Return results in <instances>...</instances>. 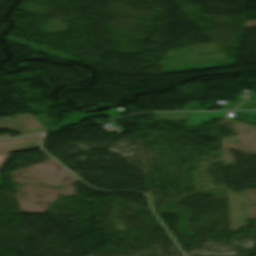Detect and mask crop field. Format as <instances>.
I'll use <instances>...</instances> for the list:
<instances>
[{
  "label": "crop field",
  "mask_w": 256,
  "mask_h": 256,
  "mask_svg": "<svg viewBox=\"0 0 256 256\" xmlns=\"http://www.w3.org/2000/svg\"><path fill=\"white\" fill-rule=\"evenodd\" d=\"M0 128H6L8 131H29L41 129L43 126L33 117L32 114L17 115L12 118H0Z\"/></svg>",
  "instance_id": "8a807250"
},
{
  "label": "crop field",
  "mask_w": 256,
  "mask_h": 256,
  "mask_svg": "<svg viewBox=\"0 0 256 256\" xmlns=\"http://www.w3.org/2000/svg\"><path fill=\"white\" fill-rule=\"evenodd\" d=\"M39 136L23 138V139H11L0 141V168L10 151L34 148L39 143Z\"/></svg>",
  "instance_id": "ac0d7876"
},
{
  "label": "crop field",
  "mask_w": 256,
  "mask_h": 256,
  "mask_svg": "<svg viewBox=\"0 0 256 256\" xmlns=\"http://www.w3.org/2000/svg\"><path fill=\"white\" fill-rule=\"evenodd\" d=\"M227 112H204L191 113L185 126L202 125L203 121H210L211 118H224Z\"/></svg>",
  "instance_id": "34b2d1b8"
},
{
  "label": "crop field",
  "mask_w": 256,
  "mask_h": 256,
  "mask_svg": "<svg viewBox=\"0 0 256 256\" xmlns=\"http://www.w3.org/2000/svg\"><path fill=\"white\" fill-rule=\"evenodd\" d=\"M229 117L256 126V112H231Z\"/></svg>",
  "instance_id": "412701ff"
},
{
  "label": "crop field",
  "mask_w": 256,
  "mask_h": 256,
  "mask_svg": "<svg viewBox=\"0 0 256 256\" xmlns=\"http://www.w3.org/2000/svg\"><path fill=\"white\" fill-rule=\"evenodd\" d=\"M103 113H105L108 116V118L119 116L118 112L114 108L105 110V111H103Z\"/></svg>",
  "instance_id": "f4fd0767"
},
{
  "label": "crop field",
  "mask_w": 256,
  "mask_h": 256,
  "mask_svg": "<svg viewBox=\"0 0 256 256\" xmlns=\"http://www.w3.org/2000/svg\"><path fill=\"white\" fill-rule=\"evenodd\" d=\"M42 132H46V131H45V130H41V131H34V132H29V133L21 134L20 136H24V135H31V134L42 133Z\"/></svg>",
  "instance_id": "dd49c442"
},
{
  "label": "crop field",
  "mask_w": 256,
  "mask_h": 256,
  "mask_svg": "<svg viewBox=\"0 0 256 256\" xmlns=\"http://www.w3.org/2000/svg\"><path fill=\"white\" fill-rule=\"evenodd\" d=\"M2 185L1 175H0V186Z\"/></svg>",
  "instance_id": "e52e79f7"
},
{
  "label": "crop field",
  "mask_w": 256,
  "mask_h": 256,
  "mask_svg": "<svg viewBox=\"0 0 256 256\" xmlns=\"http://www.w3.org/2000/svg\"><path fill=\"white\" fill-rule=\"evenodd\" d=\"M0 137H10V135H4V136H0Z\"/></svg>",
  "instance_id": "d8731c3e"
}]
</instances>
